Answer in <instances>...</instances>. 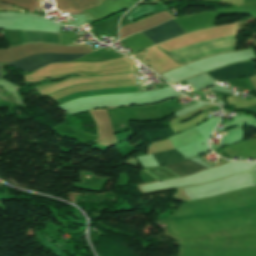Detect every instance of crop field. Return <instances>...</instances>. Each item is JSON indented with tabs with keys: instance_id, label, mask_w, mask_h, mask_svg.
Segmentation results:
<instances>
[{
	"instance_id": "1",
	"label": "crop field",
	"mask_w": 256,
	"mask_h": 256,
	"mask_svg": "<svg viewBox=\"0 0 256 256\" xmlns=\"http://www.w3.org/2000/svg\"><path fill=\"white\" fill-rule=\"evenodd\" d=\"M234 37L222 38L196 44L178 51L171 52L174 58L186 64L194 59L207 56L213 53L232 51L235 48Z\"/></svg>"
},
{
	"instance_id": "2",
	"label": "crop field",
	"mask_w": 256,
	"mask_h": 256,
	"mask_svg": "<svg viewBox=\"0 0 256 256\" xmlns=\"http://www.w3.org/2000/svg\"><path fill=\"white\" fill-rule=\"evenodd\" d=\"M86 54L88 53L74 55L39 54L7 64L21 71L31 72L50 63L74 61Z\"/></svg>"
},
{
	"instance_id": "3",
	"label": "crop field",
	"mask_w": 256,
	"mask_h": 256,
	"mask_svg": "<svg viewBox=\"0 0 256 256\" xmlns=\"http://www.w3.org/2000/svg\"><path fill=\"white\" fill-rule=\"evenodd\" d=\"M215 80L222 82L234 78L244 77L255 74L254 65L251 62L234 64L232 66L222 68L207 73Z\"/></svg>"
},
{
	"instance_id": "4",
	"label": "crop field",
	"mask_w": 256,
	"mask_h": 256,
	"mask_svg": "<svg viewBox=\"0 0 256 256\" xmlns=\"http://www.w3.org/2000/svg\"><path fill=\"white\" fill-rule=\"evenodd\" d=\"M141 33L148 36L154 44L185 34L172 19L160 26L148 29Z\"/></svg>"
},
{
	"instance_id": "5",
	"label": "crop field",
	"mask_w": 256,
	"mask_h": 256,
	"mask_svg": "<svg viewBox=\"0 0 256 256\" xmlns=\"http://www.w3.org/2000/svg\"><path fill=\"white\" fill-rule=\"evenodd\" d=\"M60 25L49 21L22 17L10 30L59 32Z\"/></svg>"
},
{
	"instance_id": "6",
	"label": "crop field",
	"mask_w": 256,
	"mask_h": 256,
	"mask_svg": "<svg viewBox=\"0 0 256 256\" xmlns=\"http://www.w3.org/2000/svg\"><path fill=\"white\" fill-rule=\"evenodd\" d=\"M21 38L22 44L37 42L60 44V34L21 31Z\"/></svg>"
},
{
	"instance_id": "7",
	"label": "crop field",
	"mask_w": 256,
	"mask_h": 256,
	"mask_svg": "<svg viewBox=\"0 0 256 256\" xmlns=\"http://www.w3.org/2000/svg\"><path fill=\"white\" fill-rule=\"evenodd\" d=\"M165 168L171 170L172 172L180 175V176H185L203 169H207L201 165H198L190 160L183 161L176 163L174 165L170 166H165Z\"/></svg>"
},
{
	"instance_id": "8",
	"label": "crop field",
	"mask_w": 256,
	"mask_h": 256,
	"mask_svg": "<svg viewBox=\"0 0 256 256\" xmlns=\"http://www.w3.org/2000/svg\"><path fill=\"white\" fill-rule=\"evenodd\" d=\"M140 91L138 87H130V88H123V89H111V90H99V91H90V92H81V93H75L68 95L66 97L56 99L59 103L78 98V97H84V96H91V95H98V94H104V93H118V92H135Z\"/></svg>"
},
{
	"instance_id": "9",
	"label": "crop field",
	"mask_w": 256,
	"mask_h": 256,
	"mask_svg": "<svg viewBox=\"0 0 256 256\" xmlns=\"http://www.w3.org/2000/svg\"><path fill=\"white\" fill-rule=\"evenodd\" d=\"M153 155L156 158V160L158 161L159 165L174 163V162H178V161L185 159L179 153H177L175 150L161 152V153H155Z\"/></svg>"
},
{
	"instance_id": "10",
	"label": "crop field",
	"mask_w": 256,
	"mask_h": 256,
	"mask_svg": "<svg viewBox=\"0 0 256 256\" xmlns=\"http://www.w3.org/2000/svg\"><path fill=\"white\" fill-rule=\"evenodd\" d=\"M0 78H1V66H0Z\"/></svg>"
}]
</instances>
